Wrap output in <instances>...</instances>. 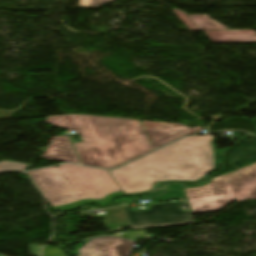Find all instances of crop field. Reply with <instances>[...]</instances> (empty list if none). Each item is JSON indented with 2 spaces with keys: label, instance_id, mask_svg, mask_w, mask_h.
<instances>
[{
  "label": "crop field",
  "instance_id": "ac0d7876",
  "mask_svg": "<svg viewBox=\"0 0 256 256\" xmlns=\"http://www.w3.org/2000/svg\"><path fill=\"white\" fill-rule=\"evenodd\" d=\"M211 141L212 136L185 137L110 173L125 193L150 189L153 181L196 182L214 169Z\"/></svg>",
  "mask_w": 256,
  "mask_h": 256
},
{
  "label": "crop field",
  "instance_id": "733c2abd",
  "mask_svg": "<svg viewBox=\"0 0 256 256\" xmlns=\"http://www.w3.org/2000/svg\"><path fill=\"white\" fill-rule=\"evenodd\" d=\"M29 250L31 256H40L39 244H29Z\"/></svg>",
  "mask_w": 256,
  "mask_h": 256
},
{
  "label": "crop field",
  "instance_id": "d8731c3e",
  "mask_svg": "<svg viewBox=\"0 0 256 256\" xmlns=\"http://www.w3.org/2000/svg\"><path fill=\"white\" fill-rule=\"evenodd\" d=\"M42 158L79 163L67 136H53Z\"/></svg>",
  "mask_w": 256,
  "mask_h": 256
},
{
  "label": "crop field",
  "instance_id": "5142ce71",
  "mask_svg": "<svg viewBox=\"0 0 256 256\" xmlns=\"http://www.w3.org/2000/svg\"><path fill=\"white\" fill-rule=\"evenodd\" d=\"M174 12L177 14V16L187 25V27L189 28V30H198L197 27L193 24V22L190 20V18L187 16L186 13L177 10V9H173ZM200 30V29H199Z\"/></svg>",
  "mask_w": 256,
  "mask_h": 256
},
{
  "label": "crop field",
  "instance_id": "cbeb9de0",
  "mask_svg": "<svg viewBox=\"0 0 256 256\" xmlns=\"http://www.w3.org/2000/svg\"><path fill=\"white\" fill-rule=\"evenodd\" d=\"M112 0H79L77 8L94 9Z\"/></svg>",
  "mask_w": 256,
  "mask_h": 256
},
{
  "label": "crop field",
  "instance_id": "22f410ed",
  "mask_svg": "<svg viewBox=\"0 0 256 256\" xmlns=\"http://www.w3.org/2000/svg\"><path fill=\"white\" fill-rule=\"evenodd\" d=\"M26 164L15 163L13 161L0 162V172H6L11 170H25Z\"/></svg>",
  "mask_w": 256,
  "mask_h": 256
},
{
  "label": "crop field",
  "instance_id": "34b2d1b8",
  "mask_svg": "<svg viewBox=\"0 0 256 256\" xmlns=\"http://www.w3.org/2000/svg\"><path fill=\"white\" fill-rule=\"evenodd\" d=\"M28 173L53 207L85 198L99 199L120 190L107 171L73 164Z\"/></svg>",
  "mask_w": 256,
  "mask_h": 256
},
{
  "label": "crop field",
  "instance_id": "dd49c442",
  "mask_svg": "<svg viewBox=\"0 0 256 256\" xmlns=\"http://www.w3.org/2000/svg\"><path fill=\"white\" fill-rule=\"evenodd\" d=\"M134 243L117 237L93 238L78 252L80 256H130Z\"/></svg>",
  "mask_w": 256,
  "mask_h": 256
},
{
  "label": "crop field",
  "instance_id": "d1516ede",
  "mask_svg": "<svg viewBox=\"0 0 256 256\" xmlns=\"http://www.w3.org/2000/svg\"><path fill=\"white\" fill-rule=\"evenodd\" d=\"M200 29H228L207 15L190 16Z\"/></svg>",
  "mask_w": 256,
  "mask_h": 256
},
{
  "label": "crop field",
  "instance_id": "e52e79f7",
  "mask_svg": "<svg viewBox=\"0 0 256 256\" xmlns=\"http://www.w3.org/2000/svg\"><path fill=\"white\" fill-rule=\"evenodd\" d=\"M141 123L154 150L185 135L192 134L202 129L199 126L194 129H189L183 125L177 124L148 121H142Z\"/></svg>",
  "mask_w": 256,
  "mask_h": 256
},
{
  "label": "crop field",
  "instance_id": "3316defc",
  "mask_svg": "<svg viewBox=\"0 0 256 256\" xmlns=\"http://www.w3.org/2000/svg\"><path fill=\"white\" fill-rule=\"evenodd\" d=\"M186 198L182 184H170L163 195L152 198L155 201Z\"/></svg>",
  "mask_w": 256,
  "mask_h": 256
},
{
  "label": "crop field",
  "instance_id": "412701ff",
  "mask_svg": "<svg viewBox=\"0 0 256 256\" xmlns=\"http://www.w3.org/2000/svg\"><path fill=\"white\" fill-rule=\"evenodd\" d=\"M184 191L193 214L218 211L232 201L256 199V164Z\"/></svg>",
  "mask_w": 256,
  "mask_h": 256
},
{
  "label": "crop field",
  "instance_id": "28ad6ade",
  "mask_svg": "<svg viewBox=\"0 0 256 256\" xmlns=\"http://www.w3.org/2000/svg\"><path fill=\"white\" fill-rule=\"evenodd\" d=\"M122 195H123L122 191H119V192L112 193L102 199H99V200H93V199L80 200V201L70 203V204H67L64 206L56 207L55 209L63 210V209L72 208V207H76V206L87 204V203L103 204V203L109 202L113 199H116Z\"/></svg>",
  "mask_w": 256,
  "mask_h": 256
},
{
  "label": "crop field",
  "instance_id": "5a996713",
  "mask_svg": "<svg viewBox=\"0 0 256 256\" xmlns=\"http://www.w3.org/2000/svg\"><path fill=\"white\" fill-rule=\"evenodd\" d=\"M213 43L256 42V33L248 31H205Z\"/></svg>",
  "mask_w": 256,
  "mask_h": 256
},
{
  "label": "crop field",
  "instance_id": "d9b57169",
  "mask_svg": "<svg viewBox=\"0 0 256 256\" xmlns=\"http://www.w3.org/2000/svg\"><path fill=\"white\" fill-rule=\"evenodd\" d=\"M43 256H66L65 251L58 248H51L47 245L43 247Z\"/></svg>",
  "mask_w": 256,
  "mask_h": 256
},
{
  "label": "crop field",
  "instance_id": "4a817a6b",
  "mask_svg": "<svg viewBox=\"0 0 256 256\" xmlns=\"http://www.w3.org/2000/svg\"><path fill=\"white\" fill-rule=\"evenodd\" d=\"M211 180H203L200 183H183L184 188L186 187H196V186H200V185H204L208 182H210Z\"/></svg>",
  "mask_w": 256,
  "mask_h": 256
},
{
  "label": "crop field",
  "instance_id": "8a807250",
  "mask_svg": "<svg viewBox=\"0 0 256 256\" xmlns=\"http://www.w3.org/2000/svg\"><path fill=\"white\" fill-rule=\"evenodd\" d=\"M45 123L79 134L83 142L73 144L83 165L111 169L152 151L140 121L78 114Z\"/></svg>",
  "mask_w": 256,
  "mask_h": 256
},
{
  "label": "crop field",
  "instance_id": "f4fd0767",
  "mask_svg": "<svg viewBox=\"0 0 256 256\" xmlns=\"http://www.w3.org/2000/svg\"><path fill=\"white\" fill-rule=\"evenodd\" d=\"M182 202L149 205V210L132 212L129 206H124L132 229L181 225L192 222L189 212L181 211Z\"/></svg>",
  "mask_w": 256,
  "mask_h": 256
},
{
  "label": "crop field",
  "instance_id": "bc2a9ffb",
  "mask_svg": "<svg viewBox=\"0 0 256 256\" xmlns=\"http://www.w3.org/2000/svg\"><path fill=\"white\" fill-rule=\"evenodd\" d=\"M0 256H3V255H0Z\"/></svg>",
  "mask_w": 256,
  "mask_h": 256
}]
</instances>
